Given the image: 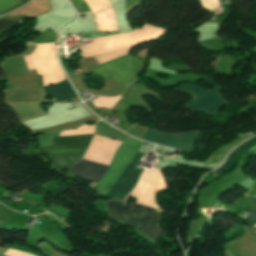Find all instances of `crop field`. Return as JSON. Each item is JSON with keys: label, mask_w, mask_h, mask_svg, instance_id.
<instances>
[{"label": "crop field", "mask_w": 256, "mask_h": 256, "mask_svg": "<svg viewBox=\"0 0 256 256\" xmlns=\"http://www.w3.org/2000/svg\"><path fill=\"white\" fill-rule=\"evenodd\" d=\"M44 89L47 95L55 96L57 101L76 97V94L70 86L68 80Z\"/></svg>", "instance_id": "crop-field-10"}, {"label": "crop field", "mask_w": 256, "mask_h": 256, "mask_svg": "<svg viewBox=\"0 0 256 256\" xmlns=\"http://www.w3.org/2000/svg\"><path fill=\"white\" fill-rule=\"evenodd\" d=\"M254 145H256V137L252 138L248 142L241 145L239 148H237L235 151H233L227 158L226 163L219 169L213 171V174L215 176L227 171L231 166H233V163L237 161L242 155H244L250 148H252Z\"/></svg>", "instance_id": "crop-field-9"}, {"label": "crop field", "mask_w": 256, "mask_h": 256, "mask_svg": "<svg viewBox=\"0 0 256 256\" xmlns=\"http://www.w3.org/2000/svg\"><path fill=\"white\" fill-rule=\"evenodd\" d=\"M56 40V34L52 30H47L39 35V37L34 41L37 44L49 43Z\"/></svg>", "instance_id": "crop-field-12"}, {"label": "crop field", "mask_w": 256, "mask_h": 256, "mask_svg": "<svg viewBox=\"0 0 256 256\" xmlns=\"http://www.w3.org/2000/svg\"><path fill=\"white\" fill-rule=\"evenodd\" d=\"M227 0H220L221 4H223L224 2H226Z\"/></svg>", "instance_id": "crop-field-17"}, {"label": "crop field", "mask_w": 256, "mask_h": 256, "mask_svg": "<svg viewBox=\"0 0 256 256\" xmlns=\"http://www.w3.org/2000/svg\"><path fill=\"white\" fill-rule=\"evenodd\" d=\"M250 226H256V198H254L252 212L244 219Z\"/></svg>", "instance_id": "crop-field-13"}, {"label": "crop field", "mask_w": 256, "mask_h": 256, "mask_svg": "<svg viewBox=\"0 0 256 256\" xmlns=\"http://www.w3.org/2000/svg\"><path fill=\"white\" fill-rule=\"evenodd\" d=\"M106 209L111 218L134 226L139 233L153 241L157 240L160 230L157 227L158 212L156 210L137 204L125 206L116 201H108ZM134 215H139L142 218L137 219Z\"/></svg>", "instance_id": "crop-field-2"}, {"label": "crop field", "mask_w": 256, "mask_h": 256, "mask_svg": "<svg viewBox=\"0 0 256 256\" xmlns=\"http://www.w3.org/2000/svg\"><path fill=\"white\" fill-rule=\"evenodd\" d=\"M162 189H167V187L160 169L146 170L140 177L137 187L129 196L134 197L136 203L153 207L159 212H162L155 201V195Z\"/></svg>", "instance_id": "crop-field-5"}, {"label": "crop field", "mask_w": 256, "mask_h": 256, "mask_svg": "<svg viewBox=\"0 0 256 256\" xmlns=\"http://www.w3.org/2000/svg\"><path fill=\"white\" fill-rule=\"evenodd\" d=\"M93 135L94 134L55 137V138H52V140L55 145L84 143V142H90ZM88 145L89 143L44 147L40 149V153L42 154H84Z\"/></svg>", "instance_id": "crop-field-7"}, {"label": "crop field", "mask_w": 256, "mask_h": 256, "mask_svg": "<svg viewBox=\"0 0 256 256\" xmlns=\"http://www.w3.org/2000/svg\"><path fill=\"white\" fill-rule=\"evenodd\" d=\"M0 256H4V255H1V254H0Z\"/></svg>", "instance_id": "crop-field-18"}, {"label": "crop field", "mask_w": 256, "mask_h": 256, "mask_svg": "<svg viewBox=\"0 0 256 256\" xmlns=\"http://www.w3.org/2000/svg\"><path fill=\"white\" fill-rule=\"evenodd\" d=\"M142 143L143 141L127 136L125 142L119 147L106 174L93 188L97 192L98 196L106 197L107 193L129 164ZM144 155V153L137 152L113 188L110 190L107 197L123 200L127 196L130 190L135 186L141 172L143 171V169L136 166Z\"/></svg>", "instance_id": "crop-field-1"}, {"label": "crop field", "mask_w": 256, "mask_h": 256, "mask_svg": "<svg viewBox=\"0 0 256 256\" xmlns=\"http://www.w3.org/2000/svg\"><path fill=\"white\" fill-rule=\"evenodd\" d=\"M17 0H0V12H3L17 4H19Z\"/></svg>", "instance_id": "crop-field-14"}, {"label": "crop field", "mask_w": 256, "mask_h": 256, "mask_svg": "<svg viewBox=\"0 0 256 256\" xmlns=\"http://www.w3.org/2000/svg\"><path fill=\"white\" fill-rule=\"evenodd\" d=\"M202 79L214 86L215 89L212 91H204L198 86L186 84L176 87L175 89L180 92H189L195 98L185 106L193 110L205 111L206 115H209L226 103L224 99L218 95L220 86L213 81L214 79L206 76H204Z\"/></svg>", "instance_id": "crop-field-3"}, {"label": "crop field", "mask_w": 256, "mask_h": 256, "mask_svg": "<svg viewBox=\"0 0 256 256\" xmlns=\"http://www.w3.org/2000/svg\"><path fill=\"white\" fill-rule=\"evenodd\" d=\"M79 12L90 11L84 0H72Z\"/></svg>", "instance_id": "crop-field-16"}, {"label": "crop field", "mask_w": 256, "mask_h": 256, "mask_svg": "<svg viewBox=\"0 0 256 256\" xmlns=\"http://www.w3.org/2000/svg\"><path fill=\"white\" fill-rule=\"evenodd\" d=\"M198 139V131L183 134L160 133L153 128H148L143 140L163 144L169 147L192 152L194 141Z\"/></svg>", "instance_id": "crop-field-6"}, {"label": "crop field", "mask_w": 256, "mask_h": 256, "mask_svg": "<svg viewBox=\"0 0 256 256\" xmlns=\"http://www.w3.org/2000/svg\"><path fill=\"white\" fill-rule=\"evenodd\" d=\"M107 168V166L81 160L68 170L78 177L98 183Z\"/></svg>", "instance_id": "crop-field-8"}, {"label": "crop field", "mask_w": 256, "mask_h": 256, "mask_svg": "<svg viewBox=\"0 0 256 256\" xmlns=\"http://www.w3.org/2000/svg\"><path fill=\"white\" fill-rule=\"evenodd\" d=\"M254 134H251V135H247V136H244L240 139H236L234 140L232 143L230 144H227L225 146H223L222 149L214 152L211 156H210V159H208L207 161L203 162L205 165H208V164H218L225 156V154L230 151L232 148H234L236 145H238L240 142H242L243 140H245L246 138L252 136Z\"/></svg>", "instance_id": "crop-field-11"}, {"label": "crop field", "mask_w": 256, "mask_h": 256, "mask_svg": "<svg viewBox=\"0 0 256 256\" xmlns=\"http://www.w3.org/2000/svg\"><path fill=\"white\" fill-rule=\"evenodd\" d=\"M144 66V60L127 55L94 68L109 74L108 77L128 85L140 75ZM94 68L91 69L107 76V74Z\"/></svg>", "instance_id": "crop-field-4"}, {"label": "crop field", "mask_w": 256, "mask_h": 256, "mask_svg": "<svg viewBox=\"0 0 256 256\" xmlns=\"http://www.w3.org/2000/svg\"><path fill=\"white\" fill-rule=\"evenodd\" d=\"M14 22H16V21H12V20H2V19H0V29H2V28L6 27V26H8V25H10V24H12V23H14ZM20 22H22V21H18V22H16V23H14V24H12V25H10V26H8V27H6V28L0 30V34L3 33V32H5V31H7V30H9L10 28L14 27L15 25H17V24L20 23Z\"/></svg>", "instance_id": "crop-field-15"}]
</instances>
